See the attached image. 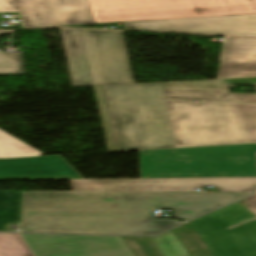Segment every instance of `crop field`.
<instances>
[{
  "label": "crop field",
  "instance_id": "8a807250",
  "mask_svg": "<svg viewBox=\"0 0 256 256\" xmlns=\"http://www.w3.org/2000/svg\"><path fill=\"white\" fill-rule=\"evenodd\" d=\"M247 194L23 191L20 231L156 235L181 222L154 219L166 208L191 220Z\"/></svg>",
  "mask_w": 256,
  "mask_h": 256
},
{
  "label": "crop field",
  "instance_id": "ac0d7876",
  "mask_svg": "<svg viewBox=\"0 0 256 256\" xmlns=\"http://www.w3.org/2000/svg\"><path fill=\"white\" fill-rule=\"evenodd\" d=\"M93 88L108 152L175 147L161 83Z\"/></svg>",
  "mask_w": 256,
  "mask_h": 256
},
{
  "label": "crop field",
  "instance_id": "34b2d1b8",
  "mask_svg": "<svg viewBox=\"0 0 256 256\" xmlns=\"http://www.w3.org/2000/svg\"><path fill=\"white\" fill-rule=\"evenodd\" d=\"M165 101L176 147L256 142V104Z\"/></svg>",
  "mask_w": 256,
  "mask_h": 256
},
{
  "label": "crop field",
  "instance_id": "412701ff",
  "mask_svg": "<svg viewBox=\"0 0 256 256\" xmlns=\"http://www.w3.org/2000/svg\"><path fill=\"white\" fill-rule=\"evenodd\" d=\"M141 178L256 176V145L140 151Z\"/></svg>",
  "mask_w": 256,
  "mask_h": 256
},
{
  "label": "crop field",
  "instance_id": "f4fd0767",
  "mask_svg": "<svg viewBox=\"0 0 256 256\" xmlns=\"http://www.w3.org/2000/svg\"><path fill=\"white\" fill-rule=\"evenodd\" d=\"M96 24L256 14V0H88Z\"/></svg>",
  "mask_w": 256,
  "mask_h": 256
},
{
  "label": "crop field",
  "instance_id": "dd49c442",
  "mask_svg": "<svg viewBox=\"0 0 256 256\" xmlns=\"http://www.w3.org/2000/svg\"><path fill=\"white\" fill-rule=\"evenodd\" d=\"M256 216L238 202L191 221L215 256H256Z\"/></svg>",
  "mask_w": 256,
  "mask_h": 256
},
{
  "label": "crop field",
  "instance_id": "e52e79f7",
  "mask_svg": "<svg viewBox=\"0 0 256 256\" xmlns=\"http://www.w3.org/2000/svg\"><path fill=\"white\" fill-rule=\"evenodd\" d=\"M81 32L93 86L134 84L122 32Z\"/></svg>",
  "mask_w": 256,
  "mask_h": 256
},
{
  "label": "crop field",
  "instance_id": "d8731c3e",
  "mask_svg": "<svg viewBox=\"0 0 256 256\" xmlns=\"http://www.w3.org/2000/svg\"><path fill=\"white\" fill-rule=\"evenodd\" d=\"M72 191H195L216 186L222 192H251L256 177L194 179L70 180Z\"/></svg>",
  "mask_w": 256,
  "mask_h": 256
},
{
  "label": "crop field",
  "instance_id": "5a996713",
  "mask_svg": "<svg viewBox=\"0 0 256 256\" xmlns=\"http://www.w3.org/2000/svg\"><path fill=\"white\" fill-rule=\"evenodd\" d=\"M35 256H133L120 237L20 234Z\"/></svg>",
  "mask_w": 256,
  "mask_h": 256
},
{
  "label": "crop field",
  "instance_id": "3316defc",
  "mask_svg": "<svg viewBox=\"0 0 256 256\" xmlns=\"http://www.w3.org/2000/svg\"><path fill=\"white\" fill-rule=\"evenodd\" d=\"M1 11H21L25 28L95 23L87 0H0Z\"/></svg>",
  "mask_w": 256,
  "mask_h": 256
},
{
  "label": "crop field",
  "instance_id": "28ad6ade",
  "mask_svg": "<svg viewBox=\"0 0 256 256\" xmlns=\"http://www.w3.org/2000/svg\"><path fill=\"white\" fill-rule=\"evenodd\" d=\"M125 29L185 31L256 37V15L124 23Z\"/></svg>",
  "mask_w": 256,
  "mask_h": 256
},
{
  "label": "crop field",
  "instance_id": "d1516ede",
  "mask_svg": "<svg viewBox=\"0 0 256 256\" xmlns=\"http://www.w3.org/2000/svg\"><path fill=\"white\" fill-rule=\"evenodd\" d=\"M256 78L162 83L165 99L256 102V95L229 94L227 84L255 83Z\"/></svg>",
  "mask_w": 256,
  "mask_h": 256
},
{
  "label": "crop field",
  "instance_id": "22f410ed",
  "mask_svg": "<svg viewBox=\"0 0 256 256\" xmlns=\"http://www.w3.org/2000/svg\"><path fill=\"white\" fill-rule=\"evenodd\" d=\"M83 179L60 157L0 159V180Z\"/></svg>",
  "mask_w": 256,
  "mask_h": 256
},
{
  "label": "crop field",
  "instance_id": "cbeb9de0",
  "mask_svg": "<svg viewBox=\"0 0 256 256\" xmlns=\"http://www.w3.org/2000/svg\"><path fill=\"white\" fill-rule=\"evenodd\" d=\"M256 77V39L226 38L218 79Z\"/></svg>",
  "mask_w": 256,
  "mask_h": 256
},
{
  "label": "crop field",
  "instance_id": "5142ce71",
  "mask_svg": "<svg viewBox=\"0 0 256 256\" xmlns=\"http://www.w3.org/2000/svg\"><path fill=\"white\" fill-rule=\"evenodd\" d=\"M73 87L92 86L80 30L59 29Z\"/></svg>",
  "mask_w": 256,
  "mask_h": 256
},
{
  "label": "crop field",
  "instance_id": "d9b57169",
  "mask_svg": "<svg viewBox=\"0 0 256 256\" xmlns=\"http://www.w3.org/2000/svg\"><path fill=\"white\" fill-rule=\"evenodd\" d=\"M22 191H0V231L8 224H20Z\"/></svg>",
  "mask_w": 256,
  "mask_h": 256
},
{
  "label": "crop field",
  "instance_id": "733c2abd",
  "mask_svg": "<svg viewBox=\"0 0 256 256\" xmlns=\"http://www.w3.org/2000/svg\"><path fill=\"white\" fill-rule=\"evenodd\" d=\"M191 256H211L213 253L195 231L190 222L173 229Z\"/></svg>",
  "mask_w": 256,
  "mask_h": 256
},
{
  "label": "crop field",
  "instance_id": "4a817a6b",
  "mask_svg": "<svg viewBox=\"0 0 256 256\" xmlns=\"http://www.w3.org/2000/svg\"><path fill=\"white\" fill-rule=\"evenodd\" d=\"M44 153L0 130V158L41 156Z\"/></svg>",
  "mask_w": 256,
  "mask_h": 256
},
{
  "label": "crop field",
  "instance_id": "bc2a9ffb",
  "mask_svg": "<svg viewBox=\"0 0 256 256\" xmlns=\"http://www.w3.org/2000/svg\"><path fill=\"white\" fill-rule=\"evenodd\" d=\"M150 240L162 256H190L172 230Z\"/></svg>",
  "mask_w": 256,
  "mask_h": 256
},
{
  "label": "crop field",
  "instance_id": "214f88e0",
  "mask_svg": "<svg viewBox=\"0 0 256 256\" xmlns=\"http://www.w3.org/2000/svg\"><path fill=\"white\" fill-rule=\"evenodd\" d=\"M0 256H34L19 234L0 233Z\"/></svg>",
  "mask_w": 256,
  "mask_h": 256
},
{
  "label": "crop field",
  "instance_id": "92a150f3",
  "mask_svg": "<svg viewBox=\"0 0 256 256\" xmlns=\"http://www.w3.org/2000/svg\"><path fill=\"white\" fill-rule=\"evenodd\" d=\"M134 256H161L149 238L121 237Z\"/></svg>",
  "mask_w": 256,
  "mask_h": 256
},
{
  "label": "crop field",
  "instance_id": "dafd665d",
  "mask_svg": "<svg viewBox=\"0 0 256 256\" xmlns=\"http://www.w3.org/2000/svg\"><path fill=\"white\" fill-rule=\"evenodd\" d=\"M24 73L21 54L0 53V74Z\"/></svg>",
  "mask_w": 256,
  "mask_h": 256
},
{
  "label": "crop field",
  "instance_id": "00972430",
  "mask_svg": "<svg viewBox=\"0 0 256 256\" xmlns=\"http://www.w3.org/2000/svg\"><path fill=\"white\" fill-rule=\"evenodd\" d=\"M245 200L251 206L249 210L256 215V195L253 194L252 196L245 198Z\"/></svg>",
  "mask_w": 256,
  "mask_h": 256
},
{
  "label": "crop field",
  "instance_id": "a9b5d70f",
  "mask_svg": "<svg viewBox=\"0 0 256 256\" xmlns=\"http://www.w3.org/2000/svg\"><path fill=\"white\" fill-rule=\"evenodd\" d=\"M12 31H8V32H0V34H7V33H11Z\"/></svg>",
  "mask_w": 256,
  "mask_h": 256
},
{
  "label": "crop field",
  "instance_id": "4177f3b9",
  "mask_svg": "<svg viewBox=\"0 0 256 256\" xmlns=\"http://www.w3.org/2000/svg\"><path fill=\"white\" fill-rule=\"evenodd\" d=\"M66 26H69V27H79L78 25H66Z\"/></svg>",
  "mask_w": 256,
  "mask_h": 256
},
{
  "label": "crop field",
  "instance_id": "730fd06b",
  "mask_svg": "<svg viewBox=\"0 0 256 256\" xmlns=\"http://www.w3.org/2000/svg\"><path fill=\"white\" fill-rule=\"evenodd\" d=\"M254 194H256V192Z\"/></svg>",
  "mask_w": 256,
  "mask_h": 256
}]
</instances>
